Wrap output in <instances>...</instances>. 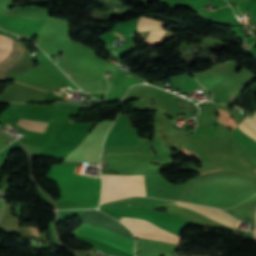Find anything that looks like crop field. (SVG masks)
I'll list each match as a JSON object with an SVG mask.
<instances>
[{
  "label": "crop field",
  "instance_id": "1",
  "mask_svg": "<svg viewBox=\"0 0 256 256\" xmlns=\"http://www.w3.org/2000/svg\"><path fill=\"white\" fill-rule=\"evenodd\" d=\"M75 167L52 166L47 178L56 180L61 199L97 207L100 178L73 174ZM75 168L74 173L76 172Z\"/></svg>",
  "mask_w": 256,
  "mask_h": 256
},
{
  "label": "crop field",
  "instance_id": "2",
  "mask_svg": "<svg viewBox=\"0 0 256 256\" xmlns=\"http://www.w3.org/2000/svg\"><path fill=\"white\" fill-rule=\"evenodd\" d=\"M101 203L133 195L145 196L143 176L102 175Z\"/></svg>",
  "mask_w": 256,
  "mask_h": 256
},
{
  "label": "crop field",
  "instance_id": "3",
  "mask_svg": "<svg viewBox=\"0 0 256 256\" xmlns=\"http://www.w3.org/2000/svg\"><path fill=\"white\" fill-rule=\"evenodd\" d=\"M111 123L112 121L108 120L97 123L92 132L74 151L67 155L65 160L98 163L102 141Z\"/></svg>",
  "mask_w": 256,
  "mask_h": 256
},
{
  "label": "crop field",
  "instance_id": "4",
  "mask_svg": "<svg viewBox=\"0 0 256 256\" xmlns=\"http://www.w3.org/2000/svg\"><path fill=\"white\" fill-rule=\"evenodd\" d=\"M73 235L97 239L133 254L134 240L117 231L82 222L81 226L73 232Z\"/></svg>",
  "mask_w": 256,
  "mask_h": 256
},
{
  "label": "crop field",
  "instance_id": "5",
  "mask_svg": "<svg viewBox=\"0 0 256 256\" xmlns=\"http://www.w3.org/2000/svg\"><path fill=\"white\" fill-rule=\"evenodd\" d=\"M121 222L127 225L136 237L150 238L176 244L180 242L178 236L166 232L153 224L147 223L148 221L145 222L140 219L122 218Z\"/></svg>",
  "mask_w": 256,
  "mask_h": 256
},
{
  "label": "crop field",
  "instance_id": "6",
  "mask_svg": "<svg viewBox=\"0 0 256 256\" xmlns=\"http://www.w3.org/2000/svg\"><path fill=\"white\" fill-rule=\"evenodd\" d=\"M9 38L0 35V58L7 54ZM25 48L10 38V49L7 55L0 59V80L8 69L24 55Z\"/></svg>",
  "mask_w": 256,
  "mask_h": 256
},
{
  "label": "crop field",
  "instance_id": "7",
  "mask_svg": "<svg viewBox=\"0 0 256 256\" xmlns=\"http://www.w3.org/2000/svg\"><path fill=\"white\" fill-rule=\"evenodd\" d=\"M7 89H11L14 91H18L21 93H25L28 95H32L35 97H39L41 98L46 91L34 88V87H30L18 82L13 81L8 87ZM5 89L1 94H0V101H38L39 98H35L32 96H28L25 94H21L18 92H14L11 90H7Z\"/></svg>",
  "mask_w": 256,
  "mask_h": 256
},
{
  "label": "crop field",
  "instance_id": "8",
  "mask_svg": "<svg viewBox=\"0 0 256 256\" xmlns=\"http://www.w3.org/2000/svg\"><path fill=\"white\" fill-rule=\"evenodd\" d=\"M176 205L188 207L194 211H197L215 221H218L222 224H225L227 226H230L232 228H235L237 220L229 216L228 214L216 210L211 207H205V206H199V205H194V204H188V203H183V202H176Z\"/></svg>",
  "mask_w": 256,
  "mask_h": 256
},
{
  "label": "crop field",
  "instance_id": "9",
  "mask_svg": "<svg viewBox=\"0 0 256 256\" xmlns=\"http://www.w3.org/2000/svg\"><path fill=\"white\" fill-rule=\"evenodd\" d=\"M81 89L87 93L105 92L106 80H73Z\"/></svg>",
  "mask_w": 256,
  "mask_h": 256
},
{
  "label": "crop field",
  "instance_id": "10",
  "mask_svg": "<svg viewBox=\"0 0 256 256\" xmlns=\"http://www.w3.org/2000/svg\"><path fill=\"white\" fill-rule=\"evenodd\" d=\"M164 23L156 21L154 19L150 18H138V25H137V31H145V30H151V29H163Z\"/></svg>",
  "mask_w": 256,
  "mask_h": 256
},
{
  "label": "crop field",
  "instance_id": "11",
  "mask_svg": "<svg viewBox=\"0 0 256 256\" xmlns=\"http://www.w3.org/2000/svg\"><path fill=\"white\" fill-rule=\"evenodd\" d=\"M17 125L25 128V129L43 132L47 123L46 122H40V121L20 119V121L18 122Z\"/></svg>",
  "mask_w": 256,
  "mask_h": 256
},
{
  "label": "crop field",
  "instance_id": "12",
  "mask_svg": "<svg viewBox=\"0 0 256 256\" xmlns=\"http://www.w3.org/2000/svg\"><path fill=\"white\" fill-rule=\"evenodd\" d=\"M236 127L256 141V132L252 130L249 126H247L245 123L241 121V123Z\"/></svg>",
  "mask_w": 256,
  "mask_h": 256
},
{
  "label": "crop field",
  "instance_id": "13",
  "mask_svg": "<svg viewBox=\"0 0 256 256\" xmlns=\"http://www.w3.org/2000/svg\"><path fill=\"white\" fill-rule=\"evenodd\" d=\"M165 31H152L150 34L148 44H157L158 41L162 38Z\"/></svg>",
  "mask_w": 256,
  "mask_h": 256
},
{
  "label": "crop field",
  "instance_id": "14",
  "mask_svg": "<svg viewBox=\"0 0 256 256\" xmlns=\"http://www.w3.org/2000/svg\"><path fill=\"white\" fill-rule=\"evenodd\" d=\"M175 96H176V95H175ZM176 97H177V99L179 100V102H180V104H181V106H182L184 112L192 111L191 108H190V106H189V104H188V102H187V100H185V99H183V98H180V97H178V96H176Z\"/></svg>",
  "mask_w": 256,
  "mask_h": 256
},
{
  "label": "crop field",
  "instance_id": "15",
  "mask_svg": "<svg viewBox=\"0 0 256 256\" xmlns=\"http://www.w3.org/2000/svg\"><path fill=\"white\" fill-rule=\"evenodd\" d=\"M63 105H64V104H61L58 108L61 109ZM66 106H67V105L65 104L62 109H64ZM68 106H69V105H68ZM68 106H67V107H68ZM67 107L65 108V110L67 109ZM71 107H72V105L70 106V108H71ZM70 108H69V109H70ZM74 108H75V106H73L70 110L73 111ZM77 108H78V106H76V108L74 109V111H76ZM69 109H68V110H69Z\"/></svg>",
  "mask_w": 256,
  "mask_h": 256
},
{
  "label": "crop field",
  "instance_id": "16",
  "mask_svg": "<svg viewBox=\"0 0 256 256\" xmlns=\"http://www.w3.org/2000/svg\"><path fill=\"white\" fill-rule=\"evenodd\" d=\"M253 234L256 236V213H255V230H254Z\"/></svg>",
  "mask_w": 256,
  "mask_h": 256
},
{
  "label": "crop field",
  "instance_id": "17",
  "mask_svg": "<svg viewBox=\"0 0 256 256\" xmlns=\"http://www.w3.org/2000/svg\"><path fill=\"white\" fill-rule=\"evenodd\" d=\"M114 34H116V35H118V36H120V37L122 36V35H120V34H118V33H116V32H115Z\"/></svg>",
  "mask_w": 256,
  "mask_h": 256
},
{
  "label": "crop field",
  "instance_id": "18",
  "mask_svg": "<svg viewBox=\"0 0 256 256\" xmlns=\"http://www.w3.org/2000/svg\"><path fill=\"white\" fill-rule=\"evenodd\" d=\"M126 76H128V75H126Z\"/></svg>",
  "mask_w": 256,
  "mask_h": 256
}]
</instances>
